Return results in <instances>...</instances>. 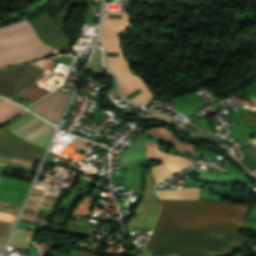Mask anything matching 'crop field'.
Returning a JSON list of instances; mask_svg holds the SVG:
<instances>
[{
    "instance_id": "8a807250",
    "label": "crop field",
    "mask_w": 256,
    "mask_h": 256,
    "mask_svg": "<svg viewBox=\"0 0 256 256\" xmlns=\"http://www.w3.org/2000/svg\"><path fill=\"white\" fill-rule=\"evenodd\" d=\"M160 199H198L197 188L157 191ZM161 212L145 249L183 256L227 253L251 207L223 201L160 200Z\"/></svg>"
},
{
    "instance_id": "ac0d7876",
    "label": "crop field",
    "mask_w": 256,
    "mask_h": 256,
    "mask_svg": "<svg viewBox=\"0 0 256 256\" xmlns=\"http://www.w3.org/2000/svg\"><path fill=\"white\" fill-rule=\"evenodd\" d=\"M108 14H124V19H108ZM109 18H123V15H109ZM131 26L130 19L127 13H104V22L102 28V39L100 45L106 49V57L119 56L120 61H106L108 67L116 74L121 93L135 104H140L142 101H149L153 95L149 91L142 78L133 75L128 62L123 55L120 35L126 33ZM106 60H119L118 57L106 58Z\"/></svg>"
},
{
    "instance_id": "34b2d1b8",
    "label": "crop field",
    "mask_w": 256,
    "mask_h": 256,
    "mask_svg": "<svg viewBox=\"0 0 256 256\" xmlns=\"http://www.w3.org/2000/svg\"><path fill=\"white\" fill-rule=\"evenodd\" d=\"M51 50L39 41L25 20L0 28V67L51 56Z\"/></svg>"
},
{
    "instance_id": "412701ff",
    "label": "crop field",
    "mask_w": 256,
    "mask_h": 256,
    "mask_svg": "<svg viewBox=\"0 0 256 256\" xmlns=\"http://www.w3.org/2000/svg\"><path fill=\"white\" fill-rule=\"evenodd\" d=\"M45 71L33 64L0 69V96L15 98Z\"/></svg>"
},
{
    "instance_id": "f4fd0767",
    "label": "crop field",
    "mask_w": 256,
    "mask_h": 256,
    "mask_svg": "<svg viewBox=\"0 0 256 256\" xmlns=\"http://www.w3.org/2000/svg\"><path fill=\"white\" fill-rule=\"evenodd\" d=\"M146 187L136 217L131 218L129 228L152 230L158 213V202L154 194L150 173L145 174Z\"/></svg>"
},
{
    "instance_id": "dd49c442",
    "label": "crop field",
    "mask_w": 256,
    "mask_h": 256,
    "mask_svg": "<svg viewBox=\"0 0 256 256\" xmlns=\"http://www.w3.org/2000/svg\"><path fill=\"white\" fill-rule=\"evenodd\" d=\"M0 153L41 161L45 150L0 128Z\"/></svg>"
},
{
    "instance_id": "e52e79f7",
    "label": "crop field",
    "mask_w": 256,
    "mask_h": 256,
    "mask_svg": "<svg viewBox=\"0 0 256 256\" xmlns=\"http://www.w3.org/2000/svg\"><path fill=\"white\" fill-rule=\"evenodd\" d=\"M41 41L56 49L70 42L69 38L44 14L30 22Z\"/></svg>"
},
{
    "instance_id": "d8731c3e",
    "label": "crop field",
    "mask_w": 256,
    "mask_h": 256,
    "mask_svg": "<svg viewBox=\"0 0 256 256\" xmlns=\"http://www.w3.org/2000/svg\"><path fill=\"white\" fill-rule=\"evenodd\" d=\"M158 148L157 144L146 140V158L160 159L171 174L180 172L194 164L184 158L162 153Z\"/></svg>"
},
{
    "instance_id": "5a996713",
    "label": "crop field",
    "mask_w": 256,
    "mask_h": 256,
    "mask_svg": "<svg viewBox=\"0 0 256 256\" xmlns=\"http://www.w3.org/2000/svg\"><path fill=\"white\" fill-rule=\"evenodd\" d=\"M69 94L56 93L46 100L35 106L34 111L47 117L53 122H57L67 100Z\"/></svg>"
},
{
    "instance_id": "3316defc",
    "label": "crop field",
    "mask_w": 256,
    "mask_h": 256,
    "mask_svg": "<svg viewBox=\"0 0 256 256\" xmlns=\"http://www.w3.org/2000/svg\"><path fill=\"white\" fill-rule=\"evenodd\" d=\"M42 121L40 118L35 117L33 119H31L30 121L24 123L23 125H21L20 127L16 128L15 130H13L12 132L16 135H19L20 133L24 132L25 130L29 129L30 127H32L33 125L37 124L38 122ZM44 122L38 124L37 126L31 128L30 130L26 131L25 133L21 134V135H26L27 133L31 132L32 130H34L35 128H37L38 126L42 125ZM50 124H46L42 127H40L39 129L31 132L30 134L24 136L23 139H27L29 137H31L32 135L36 134L37 132H39L40 130L44 129L45 127L49 126ZM52 127H47L46 129L42 130L41 132H39L38 134H36L35 136L31 137L29 140H32L34 138H36L37 136H39L40 134L44 133L45 131H47L48 129H50ZM53 129H51L50 131L46 132L45 134H43L42 136H40L39 138L35 139L34 141H32L31 143L37 144L39 146H42L44 148L47 147L49 140L51 138V134H52ZM20 136V135H19Z\"/></svg>"
},
{
    "instance_id": "28ad6ade",
    "label": "crop field",
    "mask_w": 256,
    "mask_h": 256,
    "mask_svg": "<svg viewBox=\"0 0 256 256\" xmlns=\"http://www.w3.org/2000/svg\"><path fill=\"white\" fill-rule=\"evenodd\" d=\"M146 131L170 143L174 147L182 150L183 152H189V153L195 154L196 148L194 146L186 143H180L179 141L176 140V138L172 135V133L167 129L154 128Z\"/></svg>"
},
{
    "instance_id": "d1516ede",
    "label": "crop field",
    "mask_w": 256,
    "mask_h": 256,
    "mask_svg": "<svg viewBox=\"0 0 256 256\" xmlns=\"http://www.w3.org/2000/svg\"><path fill=\"white\" fill-rule=\"evenodd\" d=\"M34 234L35 232L15 229L7 245L27 249Z\"/></svg>"
},
{
    "instance_id": "22f410ed",
    "label": "crop field",
    "mask_w": 256,
    "mask_h": 256,
    "mask_svg": "<svg viewBox=\"0 0 256 256\" xmlns=\"http://www.w3.org/2000/svg\"><path fill=\"white\" fill-rule=\"evenodd\" d=\"M23 111V108L0 98V122Z\"/></svg>"
},
{
    "instance_id": "cbeb9de0",
    "label": "crop field",
    "mask_w": 256,
    "mask_h": 256,
    "mask_svg": "<svg viewBox=\"0 0 256 256\" xmlns=\"http://www.w3.org/2000/svg\"><path fill=\"white\" fill-rule=\"evenodd\" d=\"M16 215L0 212V236L6 237Z\"/></svg>"
},
{
    "instance_id": "5142ce71",
    "label": "crop field",
    "mask_w": 256,
    "mask_h": 256,
    "mask_svg": "<svg viewBox=\"0 0 256 256\" xmlns=\"http://www.w3.org/2000/svg\"><path fill=\"white\" fill-rule=\"evenodd\" d=\"M20 95L34 103L42 97L46 96L47 94L30 87L24 92H22Z\"/></svg>"
},
{
    "instance_id": "d9b57169",
    "label": "crop field",
    "mask_w": 256,
    "mask_h": 256,
    "mask_svg": "<svg viewBox=\"0 0 256 256\" xmlns=\"http://www.w3.org/2000/svg\"><path fill=\"white\" fill-rule=\"evenodd\" d=\"M151 169L153 177L155 179V185H157L159 180L171 176V174L165 169L163 164L153 167Z\"/></svg>"
},
{
    "instance_id": "733c2abd",
    "label": "crop field",
    "mask_w": 256,
    "mask_h": 256,
    "mask_svg": "<svg viewBox=\"0 0 256 256\" xmlns=\"http://www.w3.org/2000/svg\"><path fill=\"white\" fill-rule=\"evenodd\" d=\"M35 115L26 111L24 114H22L20 117L12 121L10 124H8L5 128L9 129L10 131L14 128L18 127L19 125L23 124L27 120L31 119Z\"/></svg>"
},
{
    "instance_id": "4a817a6b",
    "label": "crop field",
    "mask_w": 256,
    "mask_h": 256,
    "mask_svg": "<svg viewBox=\"0 0 256 256\" xmlns=\"http://www.w3.org/2000/svg\"><path fill=\"white\" fill-rule=\"evenodd\" d=\"M86 143L87 141L85 140H82L80 138H74L72 142L69 144V146L87 152L90 149V147L86 146Z\"/></svg>"
},
{
    "instance_id": "bc2a9ffb",
    "label": "crop field",
    "mask_w": 256,
    "mask_h": 256,
    "mask_svg": "<svg viewBox=\"0 0 256 256\" xmlns=\"http://www.w3.org/2000/svg\"><path fill=\"white\" fill-rule=\"evenodd\" d=\"M244 120L256 122V111L247 110L245 116L243 117Z\"/></svg>"
},
{
    "instance_id": "214f88e0",
    "label": "crop field",
    "mask_w": 256,
    "mask_h": 256,
    "mask_svg": "<svg viewBox=\"0 0 256 256\" xmlns=\"http://www.w3.org/2000/svg\"><path fill=\"white\" fill-rule=\"evenodd\" d=\"M183 126L192 134L196 133L197 131H199L195 126L190 125L188 123L183 124Z\"/></svg>"
},
{
    "instance_id": "92a150f3",
    "label": "crop field",
    "mask_w": 256,
    "mask_h": 256,
    "mask_svg": "<svg viewBox=\"0 0 256 256\" xmlns=\"http://www.w3.org/2000/svg\"><path fill=\"white\" fill-rule=\"evenodd\" d=\"M79 252H80L81 256H93V255L90 254V253L81 252V251H79Z\"/></svg>"
}]
</instances>
